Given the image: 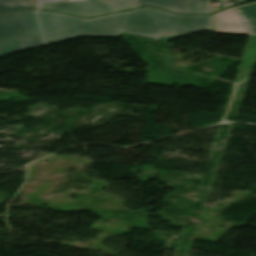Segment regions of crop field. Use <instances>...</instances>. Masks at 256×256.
<instances>
[{
  "instance_id": "obj_1",
  "label": "crop field",
  "mask_w": 256,
  "mask_h": 256,
  "mask_svg": "<svg viewBox=\"0 0 256 256\" xmlns=\"http://www.w3.org/2000/svg\"><path fill=\"white\" fill-rule=\"evenodd\" d=\"M198 30L213 31L212 15H178L152 7L123 13L116 29L0 26V56L79 35L120 36L124 32L166 41Z\"/></svg>"
},
{
  "instance_id": "obj_2",
  "label": "crop field",
  "mask_w": 256,
  "mask_h": 256,
  "mask_svg": "<svg viewBox=\"0 0 256 256\" xmlns=\"http://www.w3.org/2000/svg\"><path fill=\"white\" fill-rule=\"evenodd\" d=\"M122 13L83 19L51 12L32 11L0 16V25L115 28Z\"/></svg>"
},
{
  "instance_id": "obj_3",
  "label": "crop field",
  "mask_w": 256,
  "mask_h": 256,
  "mask_svg": "<svg viewBox=\"0 0 256 256\" xmlns=\"http://www.w3.org/2000/svg\"><path fill=\"white\" fill-rule=\"evenodd\" d=\"M214 32L256 35V4L213 15Z\"/></svg>"
},
{
  "instance_id": "obj_4",
  "label": "crop field",
  "mask_w": 256,
  "mask_h": 256,
  "mask_svg": "<svg viewBox=\"0 0 256 256\" xmlns=\"http://www.w3.org/2000/svg\"><path fill=\"white\" fill-rule=\"evenodd\" d=\"M39 9H48L60 12L76 14L84 17L106 14L119 11L104 0L86 1H65L54 0V2H44L39 0Z\"/></svg>"
},
{
  "instance_id": "obj_5",
  "label": "crop field",
  "mask_w": 256,
  "mask_h": 256,
  "mask_svg": "<svg viewBox=\"0 0 256 256\" xmlns=\"http://www.w3.org/2000/svg\"><path fill=\"white\" fill-rule=\"evenodd\" d=\"M145 5L178 13H212L211 0H134L131 8Z\"/></svg>"
},
{
  "instance_id": "obj_6",
  "label": "crop field",
  "mask_w": 256,
  "mask_h": 256,
  "mask_svg": "<svg viewBox=\"0 0 256 256\" xmlns=\"http://www.w3.org/2000/svg\"><path fill=\"white\" fill-rule=\"evenodd\" d=\"M23 2L26 4L23 5ZM29 9H37V3L32 0H0V14Z\"/></svg>"
},
{
  "instance_id": "obj_7",
  "label": "crop field",
  "mask_w": 256,
  "mask_h": 256,
  "mask_svg": "<svg viewBox=\"0 0 256 256\" xmlns=\"http://www.w3.org/2000/svg\"><path fill=\"white\" fill-rule=\"evenodd\" d=\"M105 1L109 2L110 4H112L113 6L121 10L130 8L133 3V0H105Z\"/></svg>"
}]
</instances>
